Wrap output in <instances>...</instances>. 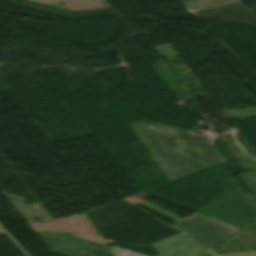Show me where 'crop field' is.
I'll return each instance as SVG.
<instances>
[{"instance_id": "412701ff", "label": "crop field", "mask_w": 256, "mask_h": 256, "mask_svg": "<svg viewBox=\"0 0 256 256\" xmlns=\"http://www.w3.org/2000/svg\"><path fill=\"white\" fill-rule=\"evenodd\" d=\"M255 255H256V251L231 253V254H220V255H216V256H255Z\"/></svg>"}, {"instance_id": "34b2d1b8", "label": "crop field", "mask_w": 256, "mask_h": 256, "mask_svg": "<svg viewBox=\"0 0 256 256\" xmlns=\"http://www.w3.org/2000/svg\"><path fill=\"white\" fill-rule=\"evenodd\" d=\"M112 250L116 256H142V255H139V254L115 247V246L112 247Z\"/></svg>"}, {"instance_id": "ac0d7876", "label": "crop field", "mask_w": 256, "mask_h": 256, "mask_svg": "<svg viewBox=\"0 0 256 256\" xmlns=\"http://www.w3.org/2000/svg\"><path fill=\"white\" fill-rule=\"evenodd\" d=\"M47 247L69 256H115L107 244L82 239L71 232L36 231Z\"/></svg>"}, {"instance_id": "8a807250", "label": "crop field", "mask_w": 256, "mask_h": 256, "mask_svg": "<svg viewBox=\"0 0 256 256\" xmlns=\"http://www.w3.org/2000/svg\"><path fill=\"white\" fill-rule=\"evenodd\" d=\"M139 204L175 222L171 227L182 232L151 244L158 256H204L236 233L202 215L181 221L148 204Z\"/></svg>"}]
</instances>
